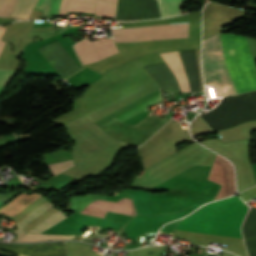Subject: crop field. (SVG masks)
<instances>
[{
	"label": "crop field",
	"instance_id": "obj_1",
	"mask_svg": "<svg viewBox=\"0 0 256 256\" xmlns=\"http://www.w3.org/2000/svg\"><path fill=\"white\" fill-rule=\"evenodd\" d=\"M226 69L236 93L256 89L254 69L246 38L239 35H218ZM218 37L202 44V65L206 87L212 97L236 94L225 69Z\"/></svg>",
	"mask_w": 256,
	"mask_h": 256
},
{
	"label": "crop field",
	"instance_id": "obj_2",
	"mask_svg": "<svg viewBox=\"0 0 256 256\" xmlns=\"http://www.w3.org/2000/svg\"><path fill=\"white\" fill-rule=\"evenodd\" d=\"M248 206L238 197L208 204L182 219L176 229L241 237L240 226Z\"/></svg>",
	"mask_w": 256,
	"mask_h": 256
},
{
	"label": "crop field",
	"instance_id": "obj_3",
	"mask_svg": "<svg viewBox=\"0 0 256 256\" xmlns=\"http://www.w3.org/2000/svg\"><path fill=\"white\" fill-rule=\"evenodd\" d=\"M189 23L118 28L113 35L188 31ZM188 32L113 36L115 42H138L157 39L187 37Z\"/></svg>",
	"mask_w": 256,
	"mask_h": 256
},
{
	"label": "crop field",
	"instance_id": "obj_4",
	"mask_svg": "<svg viewBox=\"0 0 256 256\" xmlns=\"http://www.w3.org/2000/svg\"><path fill=\"white\" fill-rule=\"evenodd\" d=\"M96 0H39L35 9L43 10L41 16H64L65 11L94 13ZM67 14V12H66ZM65 14V16H66Z\"/></svg>",
	"mask_w": 256,
	"mask_h": 256
},
{
	"label": "crop field",
	"instance_id": "obj_5",
	"mask_svg": "<svg viewBox=\"0 0 256 256\" xmlns=\"http://www.w3.org/2000/svg\"><path fill=\"white\" fill-rule=\"evenodd\" d=\"M208 179L221 186L215 199L235 193L234 170L232 164L216 155Z\"/></svg>",
	"mask_w": 256,
	"mask_h": 256
},
{
	"label": "crop field",
	"instance_id": "obj_6",
	"mask_svg": "<svg viewBox=\"0 0 256 256\" xmlns=\"http://www.w3.org/2000/svg\"><path fill=\"white\" fill-rule=\"evenodd\" d=\"M86 39H87V41H89L88 37ZM86 39H84L74 45V48L76 51L114 42L112 38L99 40V41H93V42H87ZM118 52L119 51H118L115 43H112V44H108V45H104V46H100V47H96V48L79 51L76 53L79 56L82 64H88L91 62L101 60L107 56L113 55Z\"/></svg>",
	"mask_w": 256,
	"mask_h": 256
},
{
	"label": "crop field",
	"instance_id": "obj_7",
	"mask_svg": "<svg viewBox=\"0 0 256 256\" xmlns=\"http://www.w3.org/2000/svg\"><path fill=\"white\" fill-rule=\"evenodd\" d=\"M0 248L10 249L25 256H67L63 242L30 245H9L0 243ZM18 254L19 256H22Z\"/></svg>",
	"mask_w": 256,
	"mask_h": 256
},
{
	"label": "crop field",
	"instance_id": "obj_8",
	"mask_svg": "<svg viewBox=\"0 0 256 256\" xmlns=\"http://www.w3.org/2000/svg\"><path fill=\"white\" fill-rule=\"evenodd\" d=\"M107 211L131 216H134L135 214L132 200L129 198H125L118 203L106 200H98L90 203V205L84 208L81 213L104 218Z\"/></svg>",
	"mask_w": 256,
	"mask_h": 256
},
{
	"label": "crop field",
	"instance_id": "obj_9",
	"mask_svg": "<svg viewBox=\"0 0 256 256\" xmlns=\"http://www.w3.org/2000/svg\"><path fill=\"white\" fill-rule=\"evenodd\" d=\"M161 56L164 58L168 66L171 68L173 73L176 75L181 91L182 92H191L192 87L190 84V80L188 74L186 72V68L184 66L182 57L179 51L163 53Z\"/></svg>",
	"mask_w": 256,
	"mask_h": 256
},
{
	"label": "crop field",
	"instance_id": "obj_10",
	"mask_svg": "<svg viewBox=\"0 0 256 256\" xmlns=\"http://www.w3.org/2000/svg\"><path fill=\"white\" fill-rule=\"evenodd\" d=\"M74 235L62 236V235H48V234H34L25 233L20 237L13 240L14 242H35V241H48L57 239H72Z\"/></svg>",
	"mask_w": 256,
	"mask_h": 256
},
{
	"label": "crop field",
	"instance_id": "obj_11",
	"mask_svg": "<svg viewBox=\"0 0 256 256\" xmlns=\"http://www.w3.org/2000/svg\"><path fill=\"white\" fill-rule=\"evenodd\" d=\"M163 17L178 15L182 5L188 0H158Z\"/></svg>",
	"mask_w": 256,
	"mask_h": 256
},
{
	"label": "crop field",
	"instance_id": "obj_12",
	"mask_svg": "<svg viewBox=\"0 0 256 256\" xmlns=\"http://www.w3.org/2000/svg\"><path fill=\"white\" fill-rule=\"evenodd\" d=\"M38 0H18L11 17L29 18Z\"/></svg>",
	"mask_w": 256,
	"mask_h": 256
},
{
	"label": "crop field",
	"instance_id": "obj_13",
	"mask_svg": "<svg viewBox=\"0 0 256 256\" xmlns=\"http://www.w3.org/2000/svg\"><path fill=\"white\" fill-rule=\"evenodd\" d=\"M65 217H67L65 213L62 210H59L58 212L48 217L46 220L41 222L39 225H37L35 228L30 230L29 232L42 233L43 231L50 228L51 226H53L60 220L64 219Z\"/></svg>",
	"mask_w": 256,
	"mask_h": 256
},
{
	"label": "crop field",
	"instance_id": "obj_14",
	"mask_svg": "<svg viewBox=\"0 0 256 256\" xmlns=\"http://www.w3.org/2000/svg\"><path fill=\"white\" fill-rule=\"evenodd\" d=\"M160 102H161V95L159 94V95L151 98L150 100H148V101L130 109L129 111H127V112H125V113H123V114H121V115H119V116H117L113 119H115L117 121H121V120H123V119H125V118H127V117H129V116H131V115H133V114H135V113L153 105V104H158Z\"/></svg>",
	"mask_w": 256,
	"mask_h": 256
},
{
	"label": "crop field",
	"instance_id": "obj_15",
	"mask_svg": "<svg viewBox=\"0 0 256 256\" xmlns=\"http://www.w3.org/2000/svg\"><path fill=\"white\" fill-rule=\"evenodd\" d=\"M51 206H53L50 201L46 204H44L43 206L39 207L38 209L34 210L33 212H31L29 215H27L22 221H20L16 226H18L19 228L13 230L15 232H17L18 234H23L24 230H22L21 228L26 225L28 222L32 221L33 219H35L37 216H39L40 214H42L44 211H46L47 209H49Z\"/></svg>",
	"mask_w": 256,
	"mask_h": 256
},
{
	"label": "crop field",
	"instance_id": "obj_16",
	"mask_svg": "<svg viewBox=\"0 0 256 256\" xmlns=\"http://www.w3.org/2000/svg\"><path fill=\"white\" fill-rule=\"evenodd\" d=\"M114 11L115 5L105 1L97 0L95 15L113 18Z\"/></svg>",
	"mask_w": 256,
	"mask_h": 256
},
{
	"label": "crop field",
	"instance_id": "obj_17",
	"mask_svg": "<svg viewBox=\"0 0 256 256\" xmlns=\"http://www.w3.org/2000/svg\"><path fill=\"white\" fill-rule=\"evenodd\" d=\"M75 164L73 163L72 160L65 161V162H60V163H54V164H49L48 167L50 171L52 172L53 176L62 173L72 167H74Z\"/></svg>",
	"mask_w": 256,
	"mask_h": 256
},
{
	"label": "crop field",
	"instance_id": "obj_18",
	"mask_svg": "<svg viewBox=\"0 0 256 256\" xmlns=\"http://www.w3.org/2000/svg\"><path fill=\"white\" fill-rule=\"evenodd\" d=\"M17 0H0V16L9 17Z\"/></svg>",
	"mask_w": 256,
	"mask_h": 256
},
{
	"label": "crop field",
	"instance_id": "obj_19",
	"mask_svg": "<svg viewBox=\"0 0 256 256\" xmlns=\"http://www.w3.org/2000/svg\"><path fill=\"white\" fill-rule=\"evenodd\" d=\"M15 71L13 70H1L0 69V87L6 83V81L12 76Z\"/></svg>",
	"mask_w": 256,
	"mask_h": 256
},
{
	"label": "crop field",
	"instance_id": "obj_20",
	"mask_svg": "<svg viewBox=\"0 0 256 256\" xmlns=\"http://www.w3.org/2000/svg\"><path fill=\"white\" fill-rule=\"evenodd\" d=\"M5 27H0V37L2 36L3 32L5 31ZM4 45V42L0 41V51Z\"/></svg>",
	"mask_w": 256,
	"mask_h": 256
},
{
	"label": "crop field",
	"instance_id": "obj_21",
	"mask_svg": "<svg viewBox=\"0 0 256 256\" xmlns=\"http://www.w3.org/2000/svg\"><path fill=\"white\" fill-rule=\"evenodd\" d=\"M110 2H113V3H117V0H108Z\"/></svg>",
	"mask_w": 256,
	"mask_h": 256
}]
</instances>
